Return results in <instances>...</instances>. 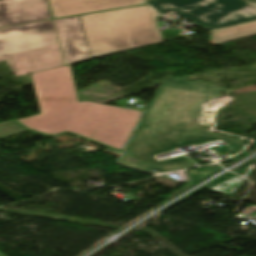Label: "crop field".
Instances as JSON below:
<instances>
[{
    "instance_id": "9",
    "label": "crop field",
    "mask_w": 256,
    "mask_h": 256,
    "mask_svg": "<svg viewBox=\"0 0 256 256\" xmlns=\"http://www.w3.org/2000/svg\"><path fill=\"white\" fill-rule=\"evenodd\" d=\"M213 45L256 34V21L210 31Z\"/></svg>"
},
{
    "instance_id": "10",
    "label": "crop field",
    "mask_w": 256,
    "mask_h": 256,
    "mask_svg": "<svg viewBox=\"0 0 256 256\" xmlns=\"http://www.w3.org/2000/svg\"><path fill=\"white\" fill-rule=\"evenodd\" d=\"M120 163L123 165H126V166H130V167H133L136 169L143 170V171L156 169V167H154L151 164H147V163L140 162V161L136 160L135 158H133L131 155H129L126 152L124 153Z\"/></svg>"
},
{
    "instance_id": "7",
    "label": "crop field",
    "mask_w": 256,
    "mask_h": 256,
    "mask_svg": "<svg viewBox=\"0 0 256 256\" xmlns=\"http://www.w3.org/2000/svg\"><path fill=\"white\" fill-rule=\"evenodd\" d=\"M51 18L46 0H0V27Z\"/></svg>"
},
{
    "instance_id": "4",
    "label": "crop field",
    "mask_w": 256,
    "mask_h": 256,
    "mask_svg": "<svg viewBox=\"0 0 256 256\" xmlns=\"http://www.w3.org/2000/svg\"><path fill=\"white\" fill-rule=\"evenodd\" d=\"M15 76L62 66L51 20L0 29V62Z\"/></svg>"
},
{
    "instance_id": "1",
    "label": "crop field",
    "mask_w": 256,
    "mask_h": 256,
    "mask_svg": "<svg viewBox=\"0 0 256 256\" xmlns=\"http://www.w3.org/2000/svg\"><path fill=\"white\" fill-rule=\"evenodd\" d=\"M30 75L40 114L20 123L48 135L74 132L122 151L141 111L78 102L70 65Z\"/></svg>"
},
{
    "instance_id": "3",
    "label": "crop field",
    "mask_w": 256,
    "mask_h": 256,
    "mask_svg": "<svg viewBox=\"0 0 256 256\" xmlns=\"http://www.w3.org/2000/svg\"><path fill=\"white\" fill-rule=\"evenodd\" d=\"M149 5L79 16L91 58L161 42Z\"/></svg>"
},
{
    "instance_id": "5",
    "label": "crop field",
    "mask_w": 256,
    "mask_h": 256,
    "mask_svg": "<svg viewBox=\"0 0 256 256\" xmlns=\"http://www.w3.org/2000/svg\"><path fill=\"white\" fill-rule=\"evenodd\" d=\"M161 14L170 10L210 29L256 19V0H148Z\"/></svg>"
},
{
    "instance_id": "2",
    "label": "crop field",
    "mask_w": 256,
    "mask_h": 256,
    "mask_svg": "<svg viewBox=\"0 0 256 256\" xmlns=\"http://www.w3.org/2000/svg\"><path fill=\"white\" fill-rule=\"evenodd\" d=\"M186 79L171 78L159 87L126 149L136 159L163 171L192 167L194 163L186 157L158 163L151 155L170 146L214 138L206 126L197 123V117L202 111L201 104L217 97L223 88ZM178 123L185 125L175 128Z\"/></svg>"
},
{
    "instance_id": "11",
    "label": "crop field",
    "mask_w": 256,
    "mask_h": 256,
    "mask_svg": "<svg viewBox=\"0 0 256 256\" xmlns=\"http://www.w3.org/2000/svg\"><path fill=\"white\" fill-rule=\"evenodd\" d=\"M0 256H3L2 254H0Z\"/></svg>"
},
{
    "instance_id": "6",
    "label": "crop field",
    "mask_w": 256,
    "mask_h": 256,
    "mask_svg": "<svg viewBox=\"0 0 256 256\" xmlns=\"http://www.w3.org/2000/svg\"><path fill=\"white\" fill-rule=\"evenodd\" d=\"M66 65L89 59V51L78 16L53 20Z\"/></svg>"
},
{
    "instance_id": "8",
    "label": "crop field",
    "mask_w": 256,
    "mask_h": 256,
    "mask_svg": "<svg viewBox=\"0 0 256 256\" xmlns=\"http://www.w3.org/2000/svg\"><path fill=\"white\" fill-rule=\"evenodd\" d=\"M143 3L144 0H49L53 18Z\"/></svg>"
}]
</instances>
